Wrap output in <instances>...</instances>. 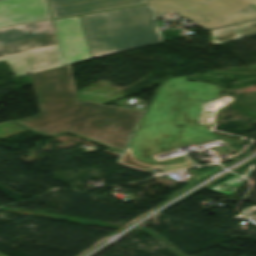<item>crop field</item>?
Segmentation results:
<instances>
[{
  "mask_svg": "<svg viewBox=\"0 0 256 256\" xmlns=\"http://www.w3.org/2000/svg\"><path fill=\"white\" fill-rule=\"evenodd\" d=\"M120 163L123 165H126V166H130V167H133L136 169L143 170V171L156 169V167H154L151 164H147V163L140 162V161L136 160L135 158H133L131 155H129L126 152L124 153Z\"/></svg>",
  "mask_w": 256,
  "mask_h": 256,
  "instance_id": "3316defc",
  "label": "crop field"
},
{
  "mask_svg": "<svg viewBox=\"0 0 256 256\" xmlns=\"http://www.w3.org/2000/svg\"><path fill=\"white\" fill-rule=\"evenodd\" d=\"M51 18L46 0H0V27Z\"/></svg>",
  "mask_w": 256,
  "mask_h": 256,
  "instance_id": "e52e79f7",
  "label": "crop field"
},
{
  "mask_svg": "<svg viewBox=\"0 0 256 256\" xmlns=\"http://www.w3.org/2000/svg\"><path fill=\"white\" fill-rule=\"evenodd\" d=\"M161 14L170 10L210 29L256 19V0H148Z\"/></svg>",
  "mask_w": 256,
  "mask_h": 256,
  "instance_id": "f4fd0767",
  "label": "crop field"
},
{
  "mask_svg": "<svg viewBox=\"0 0 256 256\" xmlns=\"http://www.w3.org/2000/svg\"><path fill=\"white\" fill-rule=\"evenodd\" d=\"M143 3L144 0H49L53 18Z\"/></svg>",
  "mask_w": 256,
  "mask_h": 256,
  "instance_id": "d8731c3e",
  "label": "crop field"
},
{
  "mask_svg": "<svg viewBox=\"0 0 256 256\" xmlns=\"http://www.w3.org/2000/svg\"><path fill=\"white\" fill-rule=\"evenodd\" d=\"M213 45L256 34V21L210 31Z\"/></svg>",
  "mask_w": 256,
  "mask_h": 256,
  "instance_id": "5a996713",
  "label": "crop field"
},
{
  "mask_svg": "<svg viewBox=\"0 0 256 256\" xmlns=\"http://www.w3.org/2000/svg\"><path fill=\"white\" fill-rule=\"evenodd\" d=\"M0 256H3L2 254H0Z\"/></svg>",
  "mask_w": 256,
  "mask_h": 256,
  "instance_id": "28ad6ade",
  "label": "crop field"
},
{
  "mask_svg": "<svg viewBox=\"0 0 256 256\" xmlns=\"http://www.w3.org/2000/svg\"><path fill=\"white\" fill-rule=\"evenodd\" d=\"M15 76L62 66L51 20L0 29V62Z\"/></svg>",
  "mask_w": 256,
  "mask_h": 256,
  "instance_id": "412701ff",
  "label": "crop field"
},
{
  "mask_svg": "<svg viewBox=\"0 0 256 256\" xmlns=\"http://www.w3.org/2000/svg\"><path fill=\"white\" fill-rule=\"evenodd\" d=\"M30 75L40 114L20 123L48 135L74 132L122 151L141 111L78 102L70 65Z\"/></svg>",
  "mask_w": 256,
  "mask_h": 256,
  "instance_id": "8a807250",
  "label": "crop field"
},
{
  "mask_svg": "<svg viewBox=\"0 0 256 256\" xmlns=\"http://www.w3.org/2000/svg\"><path fill=\"white\" fill-rule=\"evenodd\" d=\"M149 5L79 16L91 58L161 42Z\"/></svg>",
  "mask_w": 256,
  "mask_h": 256,
  "instance_id": "34b2d1b8",
  "label": "crop field"
},
{
  "mask_svg": "<svg viewBox=\"0 0 256 256\" xmlns=\"http://www.w3.org/2000/svg\"><path fill=\"white\" fill-rule=\"evenodd\" d=\"M66 65L89 59V51L78 16L53 20Z\"/></svg>",
  "mask_w": 256,
  "mask_h": 256,
  "instance_id": "dd49c442",
  "label": "crop field"
},
{
  "mask_svg": "<svg viewBox=\"0 0 256 256\" xmlns=\"http://www.w3.org/2000/svg\"><path fill=\"white\" fill-rule=\"evenodd\" d=\"M186 79L171 78L159 87L126 149L136 159L163 171L192 167L194 163L186 157L158 163L151 155L170 146L214 138L206 126L197 123V117L202 111L201 104L217 97L223 88ZM178 123L185 125L175 128Z\"/></svg>",
  "mask_w": 256,
  "mask_h": 256,
  "instance_id": "ac0d7876",
  "label": "crop field"
}]
</instances>
